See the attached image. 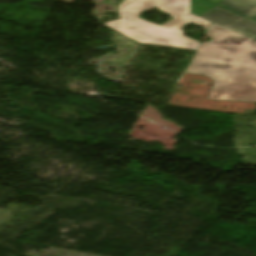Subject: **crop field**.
<instances>
[{"mask_svg": "<svg viewBox=\"0 0 256 256\" xmlns=\"http://www.w3.org/2000/svg\"><path fill=\"white\" fill-rule=\"evenodd\" d=\"M207 34L186 72L214 80L207 99L256 102V43L213 23Z\"/></svg>", "mask_w": 256, "mask_h": 256, "instance_id": "1", "label": "crop field"}, {"mask_svg": "<svg viewBox=\"0 0 256 256\" xmlns=\"http://www.w3.org/2000/svg\"><path fill=\"white\" fill-rule=\"evenodd\" d=\"M154 7L173 19L160 26L139 18L142 11ZM118 10L120 20L107 22L105 26L140 44L197 50L200 43L183 35L181 29L189 23L205 30L210 25V22L190 13V0H125Z\"/></svg>", "mask_w": 256, "mask_h": 256, "instance_id": "2", "label": "crop field"}, {"mask_svg": "<svg viewBox=\"0 0 256 256\" xmlns=\"http://www.w3.org/2000/svg\"><path fill=\"white\" fill-rule=\"evenodd\" d=\"M218 5L244 17L256 11V0H224ZM201 17L223 28L242 18L218 6L213 7Z\"/></svg>", "mask_w": 256, "mask_h": 256, "instance_id": "3", "label": "crop field"}, {"mask_svg": "<svg viewBox=\"0 0 256 256\" xmlns=\"http://www.w3.org/2000/svg\"><path fill=\"white\" fill-rule=\"evenodd\" d=\"M226 29L237 33L243 37H246L254 42H256V23L249 21L245 18L237 21Z\"/></svg>", "mask_w": 256, "mask_h": 256, "instance_id": "4", "label": "crop field"}, {"mask_svg": "<svg viewBox=\"0 0 256 256\" xmlns=\"http://www.w3.org/2000/svg\"><path fill=\"white\" fill-rule=\"evenodd\" d=\"M213 6L215 5L205 0H191V12L198 16L202 15Z\"/></svg>", "mask_w": 256, "mask_h": 256, "instance_id": "5", "label": "crop field"}, {"mask_svg": "<svg viewBox=\"0 0 256 256\" xmlns=\"http://www.w3.org/2000/svg\"><path fill=\"white\" fill-rule=\"evenodd\" d=\"M246 18L252 19V20H256V12L246 16Z\"/></svg>", "mask_w": 256, "mask_h": 256, "instance_id": "6", "label": "crop field"}, {"mask_svg": "<svg viewBox=\"0 0 256 256\" xmlns=\"http://www.w3.org/2000/svg\"><path fill=\"white\" fill-rule=\"evenodd\" d=\"M209 1H211V2H213V3H215V4H217V3L220 2L221 0H209Z\"/></svg>", "mask_w": 256, "mask_h": 256, "instance_id": "7", "label": "crop field"}]
</instances>
